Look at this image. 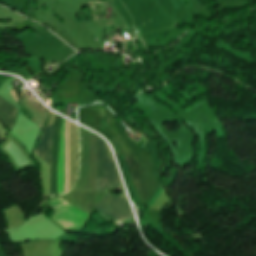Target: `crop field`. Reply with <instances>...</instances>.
Here are the masks:
<instances>
[{
  "label": "crop field",
  "instance_id": "crop-field-5",
  "mask_svg": "<svg viewBox=\"0 0 256 256\" xmlns=\"http://www.w3.org/2000/svg\"><path fill=\"white\" fill-rule=\"evenodd\" d=\"M18 109L0 97V120L11 130L17 115Z\"/></svg>",
  "mask_w": 256,
  "mask_h": 256
},
{
  "label": "crop field",
  "instance_id": "crop-field-2",
  "mask_svg": "<svg viewBox=\"0 0 256 256\" xmlns=\"http://www.w3.org/2000/svg\"><path fill=\"white\" fill-rule=\"evenodd\" d=\"M59 129H60V116L57 115L53 123L50 195L57 194ZM70 136H71V122L69 121V190H70ZM67 189H68V174H67Z\"/></svg>",
  "mask_w": 256,
  "mask_h": 256
},
{
  "label": "crop field",
  "instance_id": "crop-field-1",
  "mask_svg": "<svg viewBox=\"0 0 256 256\" xmlns=\"http://www.w3.org/2000/svg\"><path fill=\"white\" fill-rule=\"evenodd\" d=\"M121 183L113 159L109 156L107 144L99 137L97 191L109 189Z\"/></svg>",
  "mask_w": 256,
  "mask_h": 256
},
{
  "label": "crop field",
  "instance_id": "crop-field-6",
  "mask_svg": "<svg viewBox=\"0 0 256 256\" xmlns=\"http://www.w3.org/2000/svg\"><path fill=\"white\" fill-rule=\"evenodd\" d=\"M8 89H9V92H10L11 96L13 97V99L15 100V97H16V99L18 100L19 98H18L17 94L14 93V95H15V97H14V95H13V93L11 92L9 86H8Z\"/></svg>",
  "mask_w": 256,
  "mask_h": 256
},
{
  "label": "crop field",
  "instance_id": "crop-field-4",
  "mask_svg": "<svg viewBox=\"0 0 256 256\" xmlns=\"http://www.w3.org/2000/svg\"><path fill=\"white\" fill-rule=\"evenodd\" d=\"M51 137L52 127H43L39 145L35 149V153L41 157L50 166L51 157Z\"/></svg>",
  "mask_w": 256,
  "mask_h": 256
},
{
  "label": "crop field",
  "instance_id": "crop-field-3",
  "mask_svg": "<svg viewBox=\"0 0 256 256\" xmlns=\"http://www.w3.org/2000/svg\"><path fill=\"white\" fill-rule=\"evenodd\" d=\"M95 207L107 212L116 220L132 217L127 206L126 196H105Z\"/></svg>",
  "mask_w": 256,
  "mask_h": 256
}]
</instances>
